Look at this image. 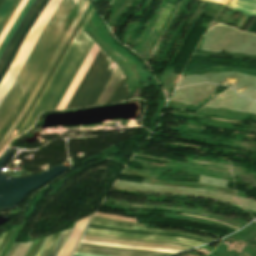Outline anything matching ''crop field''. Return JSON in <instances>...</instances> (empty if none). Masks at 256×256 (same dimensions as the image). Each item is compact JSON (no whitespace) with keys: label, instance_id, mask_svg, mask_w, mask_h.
<instances>
[{"label":"crop field","instance_id":"obj_1","mask_svg":"<svg viewBox=\"0 0 256 256\" xmlns=\"http://www.w3.org/2000/svg\"><path fill=\"white\" fill-rule=\"evenodd\" d=\"M69 1L82 18L90 4L89 0ZM69 1L63 0L49 20L16 81L0 105V150L21 121L81 19Z\"/></svg>","mask_w":256,"mask_h":256},{"label":"crop field","instance_id":"obj_2","mask_svg":"<svg viewBox=\"0 0 256 256\" xmlns=\"http://www.w3.org/2000/svg\"><path fill=\"white\" fill-rule=\"evenodd\" d=\"M94 10L92 8L87 19L72 40L62 60L50 78L48 84L32 108L23 125L20 127L14 138L28 130L36 121L38 115L43 111L56 110L74 76L79 70L85 57L93 45V41L82 31Z\"/></svg>","mask_w":256,"mask_h":256},{"label":"crop field","instance_id":"obj_3","mask_svg":"<svg viewBox=\"0 0 256 256\" xmlns=\"http://www.w3.org/2000/svg\"><path fill=\"white\" fill-rule=\"evenodd\" d=\"M111 61L112 60L100 49L66 109L86 106Z\"/></svg>","mask_w":256,"mask_h":256},{"label":"crop field","instance_id":"obj_4","mask_svg":"<svg viewBox=\"0 0 256 256\" xmlns=\"http://www.w3.org/2000/svg\"><path fill=\"white\" fill-rule=\"evenodd\" d=\"M76 252L101 254L109 256H167L173 254L151 250L114 248L81 243L79 244Z\"/></svg>","mask_w":256,"mask_h":256},{"label":"crop field","instance_id":"obj_5","mask_svg":"<svg viewBox=\"0 0 256 256\" xmlns=\"http://www.w3.org/2000/svg\"><path fill=\"white\" fill-rule=\"evenodd\" d=\"M99 49L100 48L94 43L92 49L90 50L88 56L86 57L84 63L82 64L80 70L78 71L76 77L74 78L73 82L71 83V85H70L69 89L67 90L65 96L63 97L61 103L59 104L57 110L65 109L70 98L72 97L73 93L75 92L76 88L78 87L79 83L81 82L83 76L85 75L86 71L88 70L89 66L91 65L92 61L94 60L96 54L98 53Z\"/></svg>","mask_w":256,"mask_h":256},{"label":"crop field","instance_id":"obj_6","mask_svg":"<svg viewBox=\"0 0 256 256\" xmlns=\"http://www.w3.org/2000/svg\"><path fill=\"white\" fill-rule=\"evenodd\" d=\"M86 232L97 233V234H105V235H113V236H121V237H129V238H140V239H152V240H161V241H170V242H179L191 244L194 246L203 244L187 239L182 238H174V237H165V236H151V235H139V234H131V233H121V232H111V231H102V230H94L87 229Z\"/></svg>","mask_w":256,"mask_h":256},{"label":"crop field","instance_id":"obj_7","mask_svg":"<svg viewBox=\"0 0 256 256\" xmlns=\"http://www.w3.org/2000/svg\"><path fill=\"white\" fill-rule=\"evenodd\" d=\"M91 224L92 225H98V226H109V227L124 228V229H130V230L185 234V235H190V236H194V237L205 239V240H209V241L214 240V239H210V238L203 237V236H200V235H197V234H194V233H189V232L173 231V230L150 229V228H145L144 226L112 223V222H107V221H103V220H99V219H95V218H93Z\"/></svg>","mask_w":256,"mask_h":256},{"label":"crop field","instance_id":"obj_8","mask_svg":"<svg viewBox=\"0 0 256 256\" xmlns=\"http://www.w3.org/2000/svg\"><path fill=\"white\" fill-rule=\"evenodd\" d=\"M91 216L76 223L59 256H70Z\"/></svg>","mask_w":256,"mask_h":256},{"label":"crop field","instance_id":"obj_9","mask_svg":"<svg viewBox=\"0 0 256 256\" xmlns=\"http://www.w3.org/2000/svg\"><path fill=\"white\" fill-rule=\"evenodd\" d=\"M48 2V0H43L42 3L40 4V6L38 7L36 13L34 14V16L32 17L31 21L29 22V24L27 25V27L25 28L24 32L22 33V35L20 36V38L17 40L12 52L10 53L1 73H0V81L2 79V77L4 76L5 72L7 71L8 67L10 66L22 40L24 39V37L26 36V34L28 33V31L30 30V28L33 26L35 20L37 19V17L39 16V14L41 13L43 7L45 6V4ZM47 5V4H46ZM45 8V7H44Z\"/></svg>","mask_w":256,"mask_h":256},{"label":"crop field","instance_id":"obj_10","mask_svg":"<svg viewBox=\"0 0 256 256\" xmlns=\"http://www.w3.org/2000/svg\"><path fill=\"white\" fill-rule=\"evenodd\" d=\"M127 77L123 73L119 83L117 84L114 92L112 93L108 103L119 102L129 95V88L126 84Z\"/></svg>","mask_w":256,"mask_h":256},{"label":"crop field","instance_id":"obj_11","mask_svg":"<svg viewBox=\"0 0 256 256\" xmlns=\"http://www.w3.org/2000/svg\"><path fill=\"white\" fill-rule=\"evenodd\" d=\"M115 63L112 61L111 65L109 66L107 72L105 73L104 77L102 78L100 84L98 85L97 89L95 90L94 94L92 95L90 101L88 102L87 106L95 105L96 101L98 100L100 94L102 93L103 89L105 88L106 84L108 83L109 79L111 78L113 72L116 69Z\"/></svg>","mask_w":256,"mask_h":256},{"label":"crop field","instance_id":"obj_12","mask_svg":"<svg viewBox=\"0 0 256 256\" xmlns=\"http://www.w3.org/2000/svg\"><path fill=\"white\" fill-rule=\"evenodd\" d=\"M122 73L123 72L117 67L116 71L114 72L112 78L110 79L109 83L107 84L106 88L104 89L103 93L101 94L96 105L106 103L108 97L110 96L111 92L113 91V89H114L115 85L117 84L118 80L120 79Z\"/></svg>","mask_w":256,"mask_h":256},{"label":"crop field","instance_id":"obj_13","mask_svg":"<svg viewBox=\"0 0 256 256\" xmlns=\"http://www.w3.org/2000/svg\"><path fill=\"white\" fill-rule=\"evenodd\" d=\"M34 0H29L26 4V6L24 7V9L22 10V12L20 13L16 23L14 24V26L11 28L10 32L8 33L6 39L4 40V42L2 43V45L0 46V56L2 55L5 47L7 46L9 40L11 39V37L13 36L17 26L19 25V23L21 22V20L24 18V16L26 15L27 11L29 10V8L31 7V5L33 4Z\"/></svg>","mask_w":256,"mask_h":256},{"label":"crop field","instance_id":"obj_14","mask_svg":"<svg viewBox=\"0 0 256 256\" xmlns=\"http://www.w3.org/2000/svg\"><path fill=\"white\" fill-rule=\"evenodd\" d=\"M91 228H97V229H103V230H112V231H122V232H131V233H139V234H152V235H165V236H175V237H182V238H188L195 241L206 243L208 241L200 240L197 238H193L190 236H184V235H175V234H163V233H151V232H139V231H130V230H124V229H117V228H109V227H98V226H92L89 225Z\"/></svg>","mask_w":256,"mask_h":256},{"label":"crop field","instance_id":"obj_15","mask_svg":"<svg viewBox=\"0 0 256 256\" xmlns=\"http://www.w3.org/2000/svg\"><path fill=\"white\" fill-rule=\"evenodd\" d=\"M27 1L28 0H21V2L19 3V5H18L17 9L15 10L14 14L12 15V17L10 18V20L6 24L4 30L1 32V34H0V45L3 41V39L5 38L6 34L10 30V28L13 26L17 16L21 12V10L23 9V7H24V5L26 4Z\"/></svg>","mask_w":256,"mask_h":256},{"label":"crop field","instance_id":"obj_16","mask_svg":"<svg viewBox=\"0 0 256 256\" xmlns=\"http://www.w3.org/2000/svg\"><path fill=\"white\" fill-rule=\"evenodd\" d=\"M72 230V229H71ZM71 230H67V231H63L56 243V245L54 246V248L52 249L51 253L49 254V256H58L64 242L66 241L67 237L69 236Z\"/></svg>","mask_w":256,"mask_h":256},{"label":"crop field","instance_id":"obj_17","mask_svg":"<svg viewBox=\"0 0 256 256\" xmlns=\"http://www.w3.org/2000/svg\"><path fill=\"white\" fill-rule=\"evenodd\" d=\"M84 236L96 237V238H104V239H111V240H118V241H125V242H132V243L158 244V245H170V246L183 247V248H192V247L183 246V245H177V244L156 243V242H144V241H131V240H123V239H115V238H107V237L90 236V235H85V234H84Z\"/></svg>","mask_w":256,"mask_h":256},{"label":"crop field","instance_id":"obj_18","mask_svg":"<svg viewBox=\"0 0 256 256\" xmlns=\"http://www.w3.org/2000/svg\"><path fill=\"white\" fill-rule=\"evenodd\" d=\"M37 2H38V0H35L34 4L32 5V7H31L30 10H29V12L27 11V12H28L27 15L25 16V18H24V19L22 20V22L20 23V25H19V27H18L16 33L14 34L13 38H12L11 41L9 42L7 48L5 49L3 55H2V57H1V59H0V65H1V63H2V61H3V59H4L5 55H6V53H7V51H8V49H9V47H10V45H11L13 39L15 38V36H16V35L18 34V32L20 31L21 27L23 26L24 22H25L26 19L28 18L29 14L31 13V11L33 10V8L35 7V5H36Z\"/></svg>","mask_w":256,"mask_h":256},{"label":"crop field","instance_id":"obj_19","mask_svg":"<svg viewBox=\"0 0 256 256\" xmlns=\"http://www.w3.org/2000/svg\"><path fill=\"white\" fill-rule=\"evenodd\" d=\"M41 1H42V0H39V2L37 3L36 7H35L34 10L32 11V13L30 14L29 18H28L27 21L25 22V24H24V26L22 27L21 31L19 32V34H18L16 40H17V39L19 38V36L21 35L22 31L24 30V28H25L26 25L28 24L29 20H30L31 17L33 16L35 10L37 9V7H38L39 4L41 3ZM16 40L14 41V43L16 42ZM14 43H13V45H14ZM13 45H12V47H13ZM12 47L10 48L9 52L7 53V55H6V57H5V59H4L3 63H2V65L0 66V70H1V68L3 67V65H4V63H5V61H6L7 57H8V55H9L11 49H12Z\"/></svg>","mask_w":256,"mask_h":256},{"label":"crop field","instance_id":"obj_20","mask_svg":"<svg viewBox=\"0 0 256 256\" xmlns=\"http://www.w3.org/2000/svg\"><path fill=\"white\" fill-rule=\"evenodd\" d=\"M82 240L92 241V240H88V239H82ZM93 242L105 243V244H116V245H127V246L143 247V248H153V249H163V250L182 251V250H178V249H167V248L147 247V246H138V245H130V244H122V243L100 242V241H93Z\"/></svg>","mask_w":256,"mask_h":256},{"label":"crop field","instance_id":"obj_21","mask_svg":"<svg viewBox=\"0 0 256 256\" xmlns=\"http://www.w3.org/2000/svg\"><path fill=\"white\" fill-rule=\"evenodd\" d=\"M60 233L59 234H56V235H53L51 241L49 242L48 246L46 247L44 253L42 256H48V254L50 253L51 249L53 248L54 244L56 243L58 237H59Z\"/></svg>","mask_w":256,"mask_h":256},{"label":"crop field","instance_id":"obj_22","mask_svg":"<svg viewBox=\"0 0 256 256\" xmlns=\"http://www.w3.org/2000/svg\"><path fill=\"white\" fill-rule=\"evenodd\" d=\"M15 229L11 230L10 232L7 233L6 237L4 238L2 244L0 245V253L3 250L4 246L8 242L9 238L11 237L12 233L14 232Z\"/></svg>","mask_w":256,"mask_h":256},{"label":"crop field","instance_id":"obj_23","mask_svg":"<svg viewBox=\"0 0 256 256\" xmlns=\"http://www.w3.org/2000/svg\"><path fill=\"white\" fill-rule=\"evenodd\" d=\"M19 245H20V243L14 242V244H13L12 248L10 249L9 253L7 254V256H12Z\"/></svg>","mask_w":256,"mask_h":256},{"label":"crop field","instance_id":"obj_24","mask_svg":"<svg viewBox=\"0 0 256 256\" xmlns=\"http://www.w3.org/2000/svg\"><path fill=\"white\" fill-rule=\"evenodd\" d=\"M41 240H42L41 238L38 239V240H36V242H35V244H34L32 250L29 252V254H28L27 256H32V255H33V253L35 252V250H36V248L38 247V245H39V243L41 242Z\"/></svg>","mask_w":256,"mask_h":256},{"label":"crop field","instance_id":"obj_25","mask_svg":"<svg viewBox=\"0 0 256 256\" xmlns=\"http://www.w3.org/2000/svg\"><path fill=\"white\" fill-rule=\"evenodd\" d=\"M19 1H20V0H18V2L16 3V5H15L14 9L12 10L11 14H10V15H9V17L7 18V20H6V22L4 23V25L2 26L1 30L3 29V27H4V26H5V24L7 23L8 19L10 18V16L13 14V12H14V10L16 9V7H17V5H18ZM1 30H0V32H1Z\"/></svg>","mask_w":256,"mask_h":256},{"label":"crop field","instance_id":"obj_26","mask_svg":"<svg viewBox=\"0 0 256 256\" xmlns=\"http://www.w3.org/2000/svg\"><path fill=\"white\" fill-rule=\"evenodd\" d=\"M51 237H52V236H50V238L48 239V241L45 243V245H44V247H43L41 253L39 254V256H41V254L43 253V251H44L45 247L47 246V244H48L49 240L51 239Z\"/></svg>","mask_w":256,"mask_h":256},{"label":"crop field","instance_id":"obj_27","mask_svg":"<svg viewBox=\"0 0 256 256\" xmlns=\"http://www.w3.org/2000/svg\"><path fill=\"white\" fill-rule=\"evenodd\" d=\"M88 234H90V233H88ZM95 235H97V234H95ZM101 236H104V235H101ZM108 237H112V236H108ZM116 238H120V237H116ZM126 239H128V238H126ZM137 240H140V239H137ZM149 241H152V240H149ZM159 242H161V241H159ZM167 243H170V242H167ZM179 244V243H178ZM184 245H186V244H184ZM190 246V245H189ZM194 247V246H193Z\"/></svg>","mask_w":256,"mask_h":256},{"label":"crop field","instance_id":"obj_28","mask_svg":"<svg viewBox=\"0 0 256 256\" xmlns=\"http://www.w3.org/2000/svg\"><path fill=\"white\" fill-rule=\"evenodd\" d=\"M44 239H45V237H44ZM44 239H43V241H44ZM43 241H42V242H43ZM42 242H41V244H42ZM41 244L39 245V247L41 246ZM39 247H38V249H39ZM38 249L36 250V252L38 251ZM36 252L34 253V255L36 254ZM34 255H33V256H34Z\"/></svg>","mask_w":256,"mask_h":256},{"label":"crop field","instance_id":"obj_29","mask_svg":"<svg viewBox=\"0 0 256 256\" xmlns=\"http://www.w3.org/2000/svg\"><path fill=\"white\" fill-rule=\"evenodd\" d=\"M5 235H6V234H3V235L1 236L0 242L2 241V239L4 238Z\"/></svg>","mask_w":256,"mask_h":256},{"label":"crop field","instance_id":"obj_30","mask_svg":"<svg viewBox=\"0 0 256 256\" xmlns=\"http://www.w3.org/2000/svg\"><path fill=\"white\" fill-rule=\"evenodd\" d=\"M34 242H35V241H34ZM33 244H34V243H33ZM32 246H33V245H32ZM32 246H31V248H32ZM31 248H30V250H31ZM30 250H29V251H30ZM29 251H28V252H29ZM27 254H28V253H27ZM27 254H26V255H27Z\"/></svg>","mask_w":256,"mask_h":256},{"label":"crop field","instance_id":"obj_31","mask_svg":"<svg viewBox=\"0 0 256 256\" xmlns=\"http://www.w3.org/2000/svg\"><path fill=\"white\" fill-rule=\"evenodd\" d=\"M2 2H3V0H0V5H1Z\"/></svg>","mask_w":256,"mask_h":256}]
</instances>
